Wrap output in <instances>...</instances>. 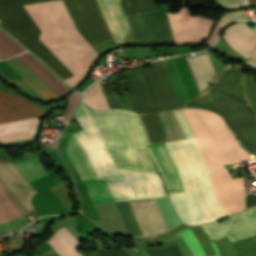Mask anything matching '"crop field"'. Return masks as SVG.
Instances as JSON below:
<instances>
[{
  "mask_svg": "<svg viewBox=\"0 0 256 256\" xmlns=\"http://www.w3.org/2000/svg\"><path fill=\"white\" fill-rule=\"evenodd\" d=\"M129 235H141L127 202L115 203ZM142 236V235H141Z\"/></svg>",
  "mask_w": 256,
  "mask_h": 256,
  "instance_id": "30",
  "label": "crop field"
},
{
  "mask_svg": "<svg viewBox=\"0 0 256 256\" xmlns=\"http://www.w3.org/2000/svg\"><path fill=\"white\" fill-rule=\"evenodd\" d=\"M60 256H81L77 249L78 240L65 228H61L47 241Z\"/></svg>",
  "mask_w": 256,
  "mask_h": 256,
  "instance_id": "22",
  "label": "crop field"
},
{
  "mask_svg": "<svg viewBox=\"0 0 256 256\" xmlns=\"http://www.w3.org/2000/svg\"><path fill=\"white\" fill-rule=\"evenodd\" d=\"M65 151L67 157L78 172L81 181L96 180L85 154L72 135L66 144Z\"/></svg>",
  "mask_w": 256,
  "mask_h": 256,
  "instance_id": "20",
  "label": "crop field"
},
{
  "mask_svg": "<svg viewBox=\"0 0 256 256\" xmlns=\"http://www.w3.org/2000/svg\"><path fill=\"white\" fill-rule=\"evenodd\" d=\"M253 237H254V239H255V241H256V235H254Z\"/></svg>",
  "mask_w": 256,
  "mask_h": 256,
  "instance_id": "46",
  "label": "crop field"
},
{
  "mask_svg": "<svg viewBox=\"0 0 256 256\" xmlns=\"http://www.w3.org/2000/svg\"><path fill=\"white\" fill-rule=\"evenodd\" d=\"M242 19H247L245 12L244 11H236V12H232L230 14L225 15L220 22L223 24H227L230 23L234 20H242Z\"/></svg>",
  "mask_w": 256,
  "mask_h": 256,
  "instance_id": "36",
  "label": "crop field"
},
{
  "mask_svg": "<svg viewBox=\"0 0 256 256\" xmlns=\"http://www.w3.org/2000/svg\"><path fill=\"white\" fill-rule=\"evenodd\" d=\"M196 138L164 142L179 172L183 192L168 193L187 224L211 222L244 207L242 178L223 164L249 161L247 152L216 114L181 109Z\"/></svg>",
  "mask_w": 256,
  "mask_h": 256,
  "instance_id": "1",
  "label": "crop field"
},
{
  "mask_svg": "<svg viewBox=\"0 0 256 256\" xmlns=\"http://www.w3.org/2000/svg\"><path fill=\"white\" fill-rule=\"evenodd\" d=\"M101 131L109 145L118 167L157 171L144 145L149 144L146 130L140 117L129 111L93 110Z\"/></svg>",
  "mask_w": 256,
  "mask_h": 256,
  "instance_id": "4",
  "label": "crop field"
},
{
  "mask_svg": "<svg viewBox=\"0 0 256 256\" xmlns=\"http://www.w3.org/2000/svg\"><path fill=\"white\" fill-rule=\"evenodd\" d=\"M220 3L224 4L229 8L245 6V0H219Z\"/></svg>",
  "mask_w": 256,
  "mask_h": 256,
  "instance_id": "39",
  "label": "crop field"
},
{
  "mask_svg": "<svg viewBox=\"0 0 256 256\" xmlns=\"http://www.w3.org/2000/svg\"><path fill=\"white\" fill-rule=\"evenodd\" d=\"M121 7L126 16L157 10L153 0H122Z\"/></svg>",
  "mask_w": 256,
  "mask_h": 256,
  "instance_id": "27",
  "label": "crop field"
},
{
  "mask_svg": "<svg viewBox=\"0 0 256 256\" xmlns=\"http://www.w3.org/2000/svg\"><path fill=\"white\" fill-rule=\"evenodd\" d=\"M37 192L9 161L0 160V223L35 211Z\"/></svg>",
  "mask_w": 256,
  "mask_h": 256,
  "instance_id": "7",
  "label": "crop field"
},
{
  "mask_svg": "<svg viewBox=\"0 0 256 256\" xmlns=\"http://www.w3.org/2000/svg\"><path fill=\"white\" fill-rule=\"evenodd\" d=\"M38 119H26L0 124V140L10 142L33 138Z\"/></svg>",
  "mask_w": 256,
  "mask_h": 256,
  "instance_id": "19",
  "label": "crop field"
},
{
  "mask_svg": "<svg viewBox=\"0 0 256 256\" xmlns=\"http://www.w3.org/2000/svg\"><path fill=\"white\" fill-rule=\"evenodd\" d=\"M248 6L256 5V0H246Z\"/></svg>",
  "mask_w": 256,
  "mask_h": 256,
  "instance_id": "44",
  "label": "crop field"
},
{
  "mask_svg": "<svg viewBox=\"0 0 256 256\" xmlns=\"http://www.w3.org/2000/svg\"><path fill=\"white\" fill-rule=\"evenodd\" d=\"M98 1L115 40L118 44L121 43L127 31V24L119 7L120 0Z\"/></svg>",
  "mask_w": 256,
  "mask_h": 256,
  "instance_id": "18",
  "label": "crop field"
},
{
  "mask_svg": "<svg viewBox=\"0 0 256 256\" xmlns=\"http://www.w3.org/2000/svg\"><path fill=\"white\" fill-rule=\"evenodd\" d=\"M187 60L199 90L204 89L208 83H212V75L215 73L208 55H199Z\"/></svg>",
  "mask_w": 256,
  "mask_h": 256,
  "instance_id": "21",
  "label": "crop field"
},
{
  "mask_svg": "<svg viewBox=\"0 0 256 256\" xmlns=\"http://www.w3.org/2000/svg\"><path fill=\"white\" fill-rule=\"evenodd\" d=\"M25 50L0 30V60L22 53Z\"/></svg>",
  "mask_w": 256,
  "mask_h": 256,
  "instance_id": "28",
  "label": "crop field"
},
{
  "mask_svg": "<svg viewBox=\"0 0 256 256\" xmlns=\"http://www.w3.org/2000/svg\"><path fill=\"white\" fill-rule=\"evenodd\" d=\"M142 16L151 38L172 37L166 13L155 12Z\"/></svg>",
  "mask_w": 256,
  "mask_h": 256,
  "instance_id": "23",
  "label": "crop field"
},
{
  "mask_svg": "<svg viewBox=\"0 0 256 256\" xmlns=\"http://www.w3.org/2000/svg\"><path fill=\"white\" fill-rule=\"evenodd\" d=\"M91 108H109L99 83L94 84L84 95L83 99Z\"/></svg>",
  "mask_w": 256,
  "mask_h": 256,
  "instance_id": "29",
  "label": "crop field"
},
{
  "mask_svg": "<svg viewBox=\"0 0 256 256\" xmlns=\"http://www.w3.org/2000/svg\"><path fill=\"white\" fill-rule=\"evenodd\" d=\"M31 71H33L43 82H45L60 97L64 96L69 89L63 83L52 75L41 63H39L28 52L16 56ZM16 57L5 60L17 73H19L34 89H36L46 100L59 97L47 85H45L37 76H35L24 64Z\"/></svg>",
  "mask_w": 256,
  "mask_h": 256,
  "instance_id": "9",
  "label": "crop field"
},
{
  "mask_svg": "<svg viewBox=\"0 0 256 256\" xmlns=\"http://www.w3.org/2000/svg\"><path fill=\"white\" fill-rule=\"evenodd\" d=\"M185 138H191V137H194L189 125L187 124L181 110H175V111H172Z\"/></svg>",
  "mask_w": 256,
  "mask_h": 256,
  "instance_id": "34",
  "label": "crop field"
},
{
  "mask_svg": "<svg viewBox=\"0 0 256 256\" xmlns=\"http://www.w3.org/2000/svg\"><path fill=\"white\" fill-rule=\"evenodd\" d=\"M246 63H248L249 65H251L253 68L256 69V62H254L252 59L249 58V59L246 61Z\"/></svg>",
  "mask_w": 256,
  "mask_h": 256,
  "instance_id": "43",
  "label": "crop field"
},
{
  "mask_svg": "<svg viewBox=\"0 0 256 256\" xmlns=\"http://www.w3.org/2000/svg\"><path fill=\"white\" fill-rule=\"evenodd\" d=\"M141 116L151 144L170 140L156 113Z\"/></svg>",
  "mask_w": 256,
  "mask_h": 256,
  "instance_id": "25",
  "label": "crop field"
},
{
  "mask_svg": "<svg viewBox=\"0 0 256 256\" xmlns=\"http://www.w3.org/2000/svg\"><path fill=\"white\" fill-rule=\"evenodd\" d=\"M179 233L181 234V236L184 238V240L186 241V243L188 244V246L192 250L194 256H205L198 240L196 239V237L190 231L189 228H187V229H185V230H183ZM213 247H214V249L217 253V255H214V256H220L214 243H213Z\"/></svg>",
  "mask_w": 256,
  "mask_h": 256,
  "instance_id": "32",
  "label": "crop field"
},
{
  "mask_svg": "<svg viewBox=\"0 0 256 256\" xmlns=\"http://www.w3.org/2000/svg\"><path fill=\"white\" fill-rule=\"evenodd\" d=\"M151 256H184L177 244L163 250L148 252Z\"/></svg>",
  "mask_w": 256,
  "mask_h": 256,
  "instance_id": "35",
  "label": "crop field"
},
{
  "mask_svg": "<svg viewBox=\"0 0 256 256\" xmlns=\"http://www.w3.org/2000/svg\"><path fill=\"white\" fill-rule=\"evenodd\" d=\"M130 92H125L131 109L137 113L161 111L147 73L142 68L126 71Z\"/></svg>",
  "mask_w": 256,
  "mask_h": 256,
  "instance_id": "12",
  "label": "crop field"
},
{
  "mask_svg": "<svg viewBox=\"0 0 256 256\" xmlns=\"http://www.w3.org/2000/svg\"><path fill=\"white\" fill-rule=\"evenodd\" d=\"M223 38L233 49L246 58L249 57L256 44V35L245 22L229 26L225 30Z\"/></svg>",
  "mask_w": 256,
  "mask_h": 256,
  "instance_id": "17",
  "label": "crop field"
},
{
  "mask_svg": "<svg viewBox=\"0 0 256 256\" xmlns=\"http://www.w3.org/2000/svg\"><path fill=\"white\" fill-rule=\"evenodd\" d=\"M0 25L31 52L52 67L63 80L73 76L38 39L41 31L18 0H0Z\"/></svg>",
  "mask_w": 256,
  "mask_h": 256,
  "instance_id": "6",
  "label": "crop field"
},
{
  "mask_svg": "<svg viewBox=\"0 0 256 256\" xmlns=\"http://www.w3.org/2000/svg\"><path fill=\"white\" fill-rule=\"evenodd\" d=\"M75 115L83 131L73 137L85 151L97 179H106L111 192L164 188L158 173L117 168L91 108L82 101ZM111 194L115 202L168 197L165 189Z\"/></svg>",
  "mask_w": 256,
  "mask_h": 256,
  "instance_id": "2",
  "label": "crop field"
},
{
  "mask_svg": "<svg viewBox=\"0 0 256 256\" xmlns=\"http://www.w3.org/2000/svg\"><path fill=\"white\" fill-rule=\"evenodd\" d=\"M168 192L182 191L177 169L164 145V143L148 145Z\"/></svg>",
  "mask_w": 256,
  "mask_h": 256,
  "instance_id": "16",
  "label": "crop field"
},
{
  "mask_svg": "<svg viewBox=\"0 0 256 256\" xmlns=\"http://www.w3.org/2000/svg\"><path fill=\"white\" fill-rule=\"evenodd\" d=\"M146 69L162 111L181 108L163 61Z\"/></svg>",
  "mask_w": 256,
  "mask_h": 256,
  "instance_id": "14",
  "label": "crop field"
},
{
  "mask_svg": "<svg viewBox=\"0 0 256 256\" xmlns=\"http://www.w3.org/2000/svg\"><path fill=\"white\" fill-rule=\"evenodd\" d=\"M168 14L175 43L203 40L214 20L199 15L191 16L187 7L175 14Z\"/></svg>",
  "mask_w": 256,
  "mask_h": 256,
  "instance_id": "11",
  "label": "crop field"
},
{
  "mask_svg": "<svg viewBox=\"0 0 256 256\" xmlns=\"http://www.w3.org/2000/svg\"><path fill=\"white\" fill-rule=\"evenodd\" d=\"M216 221L201 225L213 241L228 236L231 242L256 234V206ZM218 221V220H217Z\"/></svg>",
  "mask_w": 256,
  "mask_h": 256,
  "instance_id": "10",
  "label": "crop field"
},
{
  "mask_svg": "<svg viewBox=\"0 0 256 256\" xmlns=\"http://www.w3.org/2000/svg\"><path fill=\"white\" fill-rule=\"evenodd\" d=\"M36 256H58V254L52 248H50Z\"/></svg>",
  "mask_w": 256,
  "mask_h": 256,
  "instance_id": "41",
  "label": "crop field"
},
{
  "mask_svg": "<svg viewBox=\"0 0 256 256\" xmlns=\"http://www.w3.org/2000/svg\"><path fill=\"white\" fill-rule=\"evenodd\" d=\"M245 96L256 115V83L253 74L244 79Z\"/></svg>",
  "mask_w": 256,
  "mask_h": 256,
  "instance_id": "33",
  "label": "crop field"
},
{
  "mask_svg": "<svg viewBox=\"0 0 256 256\" xmlns=\"http://www.w3.org/2000/svg\"><path fill=\"white\" fill-rule=\"evenodd\" d=\"M90 254H91V256H97L96 251H91Z\"/></svg>",
  "mask_w": 256,
  "mask_h": 256,
  "instance_id": "45",
  "label": "crop field"
},
{
  "mask_svg": "<svg viewBox=\"0 0 256 256\" xmlns=\"http://www.w3.org/2000/svg\"><path fill=\"white\" fill-rule=\"evenodd\" d=\"M24 8L42 31L39 39L75 75L65 80L75 87L99 56L75 29L61 0Z\"/></svg>",
  "mask_w": 256,
  "mask_h": 256,
  "instance_id": "3",
  "label": "crop field"
},
{
  "mask_svg": "<svg viewBox=\"0 0 256 256\" xmlns=\"http://www.w3.org/2000/svg\"><path fill=\"white\" fill-rule=\"evenodd\" d=\"M80 94L78 93H73L70 97H69V107L67 109L66 112V117H65V121H68L76 104L78 103L79 99H80Z\"/></svg>",
  "mask_w": 256,
  "mask_h": 256,
  "instance_id": "37",
  "label": "crop field"
},
{
  "mask_svg": "<svg viewBox=\"0 0 256 256\" xmlns=\"http://www.w3.org/2000/svg\"><path fill=\"white\" fill-rule=\"evenodd\" d=\"M143 236L168 230L155 199L128 202Z\"/></svg>",
  "mask_w": 256,
  "mask_h": 256,
  "instance_id": "13",
  "label": "crop field"
},
{
  "mask_svg": "<svg viewBox=\"0 0 256 256\" xmlns=\"http://www.w3.org/2000/svg\"><path fill=\"white\" fill-rule=\"evenodd\" d=\"M13 164L29 183L48 175L36 157H29Z\"/></svg>",
  "mask_w": 256,
  "mask_h": 256,
  "instance_id": "24",
  "label": "crop field"
},
{
  "mask_svg": "<svg viewBox=\"0 0 256 256\" xmlns=\"http://www.w3.org/2000/svg\"><path fill=\"white\" fill-rule=\"evenodd\" d=\"M174 239L176 240L178 246L181 248L185 256H193L189 247L187 246V244L185 243V241L183 240L179 233L176 234Z\"/></svg>",
  "mask_w": 256,
  "mask_h": 256,
  "instance_id": "38",
  "label": "crop field"
},
{
  "mask_svg": "<svg viewBox=\"0 0 256 256\" xmlns=\"http://www.w3.org/2000/svg\"><path fill=\"white\" fill-rule=\"evenodd\" d=\"M52 0H20L22 5ZM77 29L92 47L111 39L96 0H63Z\"/></svg>",
  "mask_w": 256,
  "mask_h": 256,
  "instance_id": "8",
  "label": "crop field"
},
{
  "mask_svg": "<svg viewBox=\"0 0 256 256\" xmlns=\"http://www.w3.org/2000/svg\"><path fill=\"white\" fill-rule=\"evenodd\" d=\"M85 183L94 204L113 202L105 181Z\"/></svg>",
  "mask_w": 256,
  "mask_h": 256,
  "instance_id": "26",
  "label": "crop field"
},
{
  "mask_svg": "<svg viewBox=\"0 0 256 256\" xmlns=\"http://www.w3.org/2000/svg\"><path fill=\"white\" fill-rule=\"evenodd\" d=\"M256 205V195H246V208Z\"/></svg>",
  "mask_w": 256,
  "mask_h": 256,
  "instance_id": "40",
  "label": "crop field"
},
{
  "mask_svg": "<svg viewBox=\"0 0 256 256\" xmlns=\"http://www.w3.org/2000/svg\"><path fill=\"white\" fill-rule=\"evenodd\" d=\"M253 31L256 33V27H252ZM254 60H256V46L251 54V56Z\"/></svg>",
  "mask_w": 256,
  "mask_h": 256,
  "instance_id": "42",
  "label": "crop field"
},
{
  "mask_svg": "<svg viewBox=\"0 0 256 256\" xmlns=\"http://www.w3.org/2000/svg\"><path fill=\"white\" fill-rule=\"evenodd\" d=\"M243 77L229 69L209 92L211 104L192 101L186 107L204 108L220 114L250 154L256 155V117L247 105L230 94Z\"/></svg>",
  "mask_w": 256,
  "mask_h": 256,
  "instance_id": "5",
  "label": "crop field"
},
{
  "mask_svg": "<svg viewBox=\"0 0 256 256\" xmlns=\"http://www.w3.org/2000/svg\"><path fill=\"white\" fill-rule=\"evenodd\" d=\"M159 207L161 209V212L164 216V219L166 221V224L168 228H173L175 225L179 224L181 221L179 217L175 214L171 203L169 201V198H162V199H156Z\"/></svg>",
  "mask_w": 256,
  "mask_h": 256,
  "instance_id": "31",
  "label": "crop field"
},
{
  "mask_svg": "<svg viewBox=\"0 0 256 256\" xmlns=\"http://www.w3.org/2000/svg\"><path fill=\"white\" fill-rule=\"evenodd\" d=\"M46 109L40 108L9 92L0 91V122L38 117Z\"/></svg>",
  "mask_w": 256,
  "mask_h": 256,
  "instance_id": "15",
  "label": "crop field"
}]
</instances>
